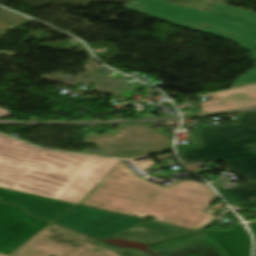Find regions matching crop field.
Returning <instances> with one entry per match:
<instances>
[{
    "instance_id": "crop-field-12",
    "label": "crop field",
    "mask_w": 256,
    "mask_h": 256,
    "mask_svg": "<svg viewBox=\"0 0 256 256\" xmlns=\"http://www.w3.org/2000/svg\"><path fill=\"white\" fill-rule=\"evenodd\" d=\"M252 57L254 60H256V50L250 51ZM250 84H256V69L252 72L246 73L242 76H240L237 81L234 83L232 88L244 86V85H250Z\"/></svg>"
},
{
    "instance_id": "crop-field-5",
    "label": "crop field",
    "mask_w": 256,
    "mask_h": 256,
    "mask_svg": "<svg viewBox=\"0 0 256 256\" xmlns=\"http://www.w3.org/2000/svg\"><path fill=\"white\" fill-rule=\"evenodd\" d=\"M111 135L87 136L84 143H92L100 155L134 158L172 148V138L145 125L118 126Z\"/></svg>"
},
{
    "instance_id": "crop-field-4",
    "label": "crop field",
    "mask_w": 256,
    "mask_h": 256,
    "mask_svg": "<svg viewBox=\"0 0 256 256\" xmlns=\"http://www.w3.org/2000/svg\"><path fill=\"white\" fill-rule=\"evenodd\" d=\"M97 239L51 223L9 256H121L91 246ZM93 248L99 249L98 251Z\"/></svg>"
},
{
    "instance_id": "crop-field-3",
    "label": "crop field",
    "mask_w": 256,
    "mask_h": 256,
    "mask_svg": "<svg viewBox=\"0 0 256 256\" xmlns=\"http://www.w3.org/2000/svg\"><path fill=\"white\" fill-rule=\"evenodd\" d=\"M123 7L195 32L231 40L248 51L256 49V12L218 3L203 11L162 0H134Z\"/></svg>"
},
{
    "instance_id": "crop-field-13",
    "label": "crop field",
    "mask_w": 256,
    "mask_h": 256,
    "mask_svg": "<svg viewBox=\"0 0 256 256\" xmlns=\"http://www.w3.org/2000/svg\"><path fill=\"white\" fill-rule=\"evenodd\" d=\"M250 228L252 229L255 238H256V223H249Z\"/></svg>"
},
{
    "instance_id": "crop-field-7",
    "label": "crop field",
    "mask_w": 256,
    "mask_h": 256,
    "mask_svg": "<svg viewBox=\"0 0 256 256\" xmlns=\"http://www.w3.org/2000/svg\"><path fill=\"white\" fill-rule=\"evenodd\" d=\"M48 224L32 218L16 206L0 205V253H10Z\"/></svg>"
},
{
    "instance_id": "crop-field-11",
    "label": "crop field",
    "mask_w": 256,
    "mask_h": 256,
    "mask_svg": "<svg viewBox=\"0 0 256 256\" xmlns=\"http://www.w3.org/2000/svg\"><path fill=\"white\" fill-rule=\"evenodd\" d=\"M92 245L113 250V251H115L119 254H122L124 256H152V255H150L147 252L142 251V250L120 248V247L114 246L110 243H107V242H104V241H101V240L96 241Z\"/></svg>"
},
{
    "instance_id": "crop-field-17",
    "label": "crop field",
    "mask_w": 256,
    "mask_h": 256,
    "mask_svg": "<svg viewBox=\"0 0 256 256\" xmlns=\"http://www.w3.org/2000/svg\"><path fill=\"white\" fill-rule=\"evenodd\" d=\"M1 114V113H0Z\"/></svg>"
},
{
    "instance_id": "crop-field-9",
    "label": "crop field",
    "mask_w": 256,
    "mask_h": 256,
    "mask_svg": "<svg viewBox=\"0 0 256 256\" xmlns=\"http://www.w3.org/2000/svg\"><path fill=\"white\" fill-rule=\"evenodd\" d=\"M211 101L202 102L204 113L256 105V85L209 95Z\"/></svg>"
},
{
    "instance_id": "crop-field-16",
    "label": "crop field",
    "mask_w": 256,
    "mask_h": 256,
    "mask_svg": "<svg viewBox=\"0 0 256 256\" xmlns=\"http://www.w3.org/2000/svg\"><path fill=\"white\" fill-rule=\"evenodd\" d=\"M1 116H9V115H0V117H1Z\"/></svg>"
},
{
    "instance_id": "crop-field-14",
    "label": "crop field",
    "mask_w": 256,
    "mask_h": 256,
    "mask_svg": "<svg viewBox=\"0 0 256 256\" xmlns=\"http://www.w3.org/2000/svg\"><path fill=\"white\" fill-rule=\"evenodd\" d=\"M0 112L1 113H9V111L3 110V109H0Z\"/></svg>"
},
{
    "instance_id": "crop-field-10",
    "label": "crop field",
    "mask_w": 256,
    "mask_h": 256,
    "mask_svg": "<svg viewBox=\"0 0 256 256\" xmlns=\"http://www.w3.org/2000/svg\"><path fill=\"white\" fill-rule=\"evenodd\" d=\"M219 243L229 256H250L251 241L242 224H236L234 230L229 233L211 231L207 233Z\"/></svg>"
},
{
    "instance_id": "crop-field-6",
    "label": "crop field",
    "mask_w": 256,
    "mask_h": 256,
    "mask_svg": "<svg viewBox=\"0 0 256 256\" xmlns=\"http://www.w3.org/2000/svg\"><path fill=\"white\" fill-rule=\"evenodd\" d=\"M141 220L139 218L76 205L54 222L103 239Z\"/></svg>"
},
{
    "instance_id": "crop-field-8",
    "label": "crop field",
    "mask_w": 256,
    "mask_h": 256,
    "mask_svg": "<svg viewBox=\"0 0 256 256\" xmlns=\"http://www.w3.org/2000/svg\"><path fill=\"white\" fill-rule=\"evenodd\" d=\"M11 202L23 207L31 215L53 221L74 204L0 188V203Z\"/></svg>"
},
{
    "instance_id": "crop-field-1",
    "label": "crop field",
    "mask_w": 256,
    "mask_h": 256,
    "mask_svg": "<svg viewBox=\"0 0 256 256\" xmlns=\"http://www.w3.org/2000/svg\"><path fill=\"white\" fill-rule=\"evenodd\" d=\"M0 187L197 231L217 218L204 212L218 197L206 184L166 188L116 159L44 151L1 135Z\"/></svg>"
},
{
    "instance_id": "crop-field-2",
    "label": "crop field",
    "mask_w": 256,
    "mask_h": 256,
    "mask_svg": "<svg viewBox=\"0 0 256 256\" xmlns=\"http://www.w3.org/2000/svg\"><path fill=\"white\" fill-rule=\"evenodd\" d=\"M234 125L193 128L199 147L178 150L182 162L224 160L231 171L252 182L224 190L211 183L232 205L256 198V111L238 114Z\"/></svg>"
},
{
    "instance_id": "crop-field-15",
    "label": "crop field",
    "mask_w": 256,
    "mask_h": 256,
    "mask_svg": "<svg viewBox=\"0 0 256 256\" xmlns=\"http://www.w3.org/2000/svg\"><path fill=\"white\" fill-rule=\"evenodd\" d=\"M0 256H8V255L0 254Z\"/></svg>"
}]
</instances>
